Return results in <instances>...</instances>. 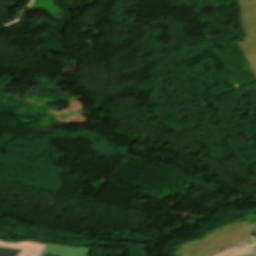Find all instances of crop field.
<instances>
[{
  "instance_id": "obj_2",
  "label": "crop field",
  "mask_w": 256,
  "mask_h": 256,
  "mask_svg": "<svg viewBox=\"0 0 256 256\" xmlns=\"http://www.w3.org/2000/svg\"><path fill=\"white\" fill-rule=\"evenodd\" d=\"M245 40L240 50L256 77V0H239Z\"/></svg>"
},
{
  "instance_id": "obj_5",
  "label": "crop field",
  "mask_w": 256,
  "mask_h": 256,
  "mask_svg": "<svg viewBox=\"0 0 256 256\" xmlns=\"http://www.w3.org/2000/svg\"><path fill=\"white\" fill-rule=\"evenodd\" d=\"M256 252L253 243L241 245L235 248L228 249L216 256H242L248 253Z\"/></svg>"
},
{
  "instance_id": "obj_6",
  "label": "crop field",
  "mask_w": 256,
  "mask_h": 256,
  "mask_svg": "<svg viewBox=\"0 0 256 256\" xmlns=\"http://www.w3.org/2000/svg\"><path fill=\"white\" fill-rule=\"evenodd\" d=\"M248 224L250 228L251 235L256 234V215L255 216H247Z\"/></svg>"
},
{
  "instance_id": "obj_3",
  "label": "crop field",
  "mask_w": 256,
  "mask_h": 256,
  "mask_svg": "<svg viewBox=\"0 0 256 256\" xmlns=\"http://www.w3.org/2000/svg\"><path fill=\"white\" fill-rule=\"evenodd\" d=\"M43 246L32 243L0 242V256H39Z\"/></svg>"
},
{
  "instance_id": "obj_7",
  "label": "crop field",
  "mask_w": 256,
  "mask_h": 256,
  "mask_svg": "<svg viewBox=\"0 0 256 256\" xmlns=\"http://www.w3.org/2000/svg\"><path fill=\"white\" fill-rule=\"evenodd\" d=\"M245 256H256V253L248 254V255H245Z\"/></svg>"
},
{
  "instance_id": "obj_4",
  "label": "crop field",
  "mask_w": 256,
  "mask_h": 256,
  "mask_svg": "<svg viewBox=\"0 0 256 256\" xmlns=\"http://www.w3.org/2000/svg\"><path fill=\"white\" fill-rule=\"evenodd\" d=\"M23 242H32L36 244L45 245L40 256H43L46 253L58 254L59 256H88L91 248H83L76 246H62L56 244H48L38 241H29L25 240Z\"/></svg>"
},
{
  "instance_id": "obj_8",
  "label": "crop field",
  "mask_w": 256,
  "mask_h": 256,
  "mask_svg": "<svg viewBox=\"0 0 256 256\" xmlns=\"http://www.w3.org/2000/svg\"><path fill=\"white\" fill-rule=\"evenodd\" d=\"M252 239H253V241H254V243L256 245V237H253Z\"/></svg>"
},
{
  "instance_id": "obj_1",
  "label": "crop field",
  "mask_w": 256,
  "mask_h": 256,
  "mask_svg": "<svg viewBox=\"0 0 256 256\" xmlns=\"http://www.w3.org/2000/svg\"><path fill=\"white\" fill-rule=\"evenodd\" d=\"M252 242L246 221L225 225L207 236L180 247L174 256H213L227 248Z\"/></svg>"
}]
</instances>
